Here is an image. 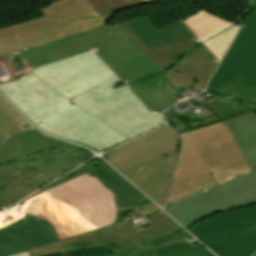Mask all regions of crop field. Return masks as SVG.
Wrapping results in <instances>:
<instances>
[{"label": "crop field", "instance_id": "obj_4", "mask_svg": "<svg viewBox=\"0 0 256 256\" xmlns=\"http://www.w3.org/2000/svg\"><path fill=\"white\" fill-rule=\"evenodd\" d=\"M105 167L55 187L49 193L83 205V219L99 228L122 221L123 212L135 210L150 202Z\"/></svg>", "mask_w": 256, "mask_h": 256}, {"label": "crop field", "instance_id": "obj_28", "mask_svg": "<svg viewBox=\"0 0 256 256\" xmlns=\"http://www.w3.org/2000/svg\"><path fill=\"white\" fill-rule=\"evenodd\" d=\"M31 254H32V253H31V251L29 250V251H26V252L17 254V255H15V256H28V255H31Z\"/></svg>", "mask_w": 256, "mask_h": 256}, {"label": "crop field", "instance_id": "obj_29", "mask_svg": "<svg viewBox=\"0 0 256 256\" xmlns=\"http://www.w3.org/2000/svg\"><path fill=\"white\" fill-rule=\"evenodd\" d=\"M155 1H159V0H148L149 3L155 2Z\"/></svg>", "mask_w": 256, "mask_h": 256}, {"label": "crop field", "instance_id": "obj_1", "mask_svg": "<svg viewBox=\"0 0 256 256\" xmlns=\"http://www.w3.org/2000/svg\"><path fill=\"white\" fill-rule=\"evenodd\" d=\"M1 60L16 76L0 91L36 126L99 151L161 125L160 111L180 98L118 24Z\"/></svg>", "mask_w": 256, "mask_h": 256}, {"label": "crop field", "instance_id": "obj_26", "mask_svg": "<svg viewBox=\"0 0 256 256\" xmlns=\"http://www.w3.org/2000/svg\"><path fill=\"white\" fill-rule=\"evenodd\" d=\"M159 210V208L157 206H155L152 202L135 210V212H137L139 215H141L142 217H145L155 211Z\"/></svg>", "mask_w": 256, "mask_h": 256}, {"label": "crop field", "instance_id": "obj_20", "mask_svg": "<svg viewBox=\"0 0 256 256\" xmlns=\"http://www.w3.org/2000/svg\"><path fill=\"white\" fill-rule=\"evenodd\" d=\"M239 27L240 26L236 24L235 26L225 30L223 33L203 42L219 62L238 32Z\"/></svg>", "mask_w": 256, "mask_h": 256}, {"label": "crop field", "instance_id": "obj_18", "mask_svg": "<svg viewBox=\"0 0 256 256\" xmlns=\"http://www.w3.org/2000/svg\"><path fill=\"white\" fill-rule=\"evenodd\" d=\"M138 256H207L193 243L185 238L179 241H170L162 246Z\"/></svg>", "mask_w": 256, "mask_h": 256}, {"label": "crop field", "instance_id": "obj_12", "mask_svg": "<svg viewBox=\"0 0 256 256\" xmlns=\"http://www.w3.org/2000/svg\"><path fill=\"white\" fill-rule=\"evenodd\" d=\"M176 149L122 172L160 207L164 201Z\"/></svg>", "mask_w": 256, "mask_h": 256}, {"label": "crop field", "instance_id": "obj_31", "mask_svg": "<svg viewBox=\"0 0 256 256\" xmlns=\"http://www.w3.org/2000/svg\"><path fill=\"white\" fill-rule=\"evenodd\" d=\"M254 93L256 94V91Z\"/></svg>", "mask_w": 256, "mask_h": 256}, {"label": "crop field", "instance_id": "obj_27", "mask_svg": "<svg viewBox=\"0 0 256 256\" xmlns=\"http://www.w3.org/2000/svg\"><path fill=\"white\" fill-rule=\"evenodd\" d=\"M242 26L256 32V12L247 21H245Z\"/></svg>", "mask_w": 256, "mask_h": 256}, {"label": "crop field", "instance_id": "obj_25", "mask_svg": "<svg viewBox=\"0 0 256 256\" xmlns=\"http://www.w3.org/2000/svg\"><path fill=\"white\" fill-rule=\"evenodd\" d=\"M187 235H189V234L186 233L185 231H183V232H180L178 234H175V235H172V236L160 239V240L150 242V244H151L152 247L155 246V245H162L163 243H165L167 241L178 240V239L184 238V236H187Z\"/></svg>", "mask_w": 256, "mask_h": 256}, {"label": "crop field", "instance_id": "obj_10", "mask_svg": "<svg viewBox=\"0 0 256 256\" xmlns=\"http://www.w3.org/2000/svg\"><path fill=\"white\" fill-rule=\"evenodd\" d=\"M237 78L256 90V33L247 28L241 29L206 89L213 91Z\"/></svg>", "mask_w": 256, "mask_h": 256}, {"label": "crop field", "instance_id": "obj_14", "mask_svg": "<svg viewBox=\"0 0 256 256\" xmlns=\"http://www.w3.org/2000/svg\"><path fill=\"white\" fill-rule=\"evenodd\" d=\"M45 244L48 242L23 219L0 231V256H12Z\"/></svg>", "mask_w": 256, "mask_h": 256}, {"label": "crop field", "instance_id": "obj_16", "mask_svg": "<svg viewBox=\"0 0 256 256\" xmlns=\"http://www.w3.org/2000/svg\"><path fill=\"white\" fill-rule=\"evenodd\" d=\"M184 22L202 42L235 25L201 10L187 17Z\"/></svg>", "mask_w": 256, "mask_h": 256}, {"label": "crop field", "instance_id": "obj_2", "mask_svg": "<svg viewBox=\"0 0 256 256\" xmlns=\"http://www.w3.org/2000/svg\"><path fill=\"white\" fill-rule=\"evenodd\" d=\"M88 155L40 134L0 97V207L80 164Z\"/></svg>", "mask_w": 256, "mask_h": 256}, {"label": "crop field", "instance_id": "obj_23", "mask_svg": "<svg viewBox=\"0 0 256 256\" xmlns=\"http://www.w3.org/2000/svg\"><path fill=\"white\" fill-rule=\"evenodd\" d=\"M21 35L24 33L16 25L0 29V43Z\"/></svg>", "mask_w": 256, "mask_h": 256}, {"label": "crop field", "instance_id": "obj_15", "mask_svg": "<svg viewBox=\"0 0 256 256\" xmlns=\"http://www.w3.org/2000/svg\"><path fill=\"white\" fill-rule=\"evenodd\" d=\"M223 124L230 130L251 171L256 169V114L235 117Z\"/></svg>", "mask_w": 256, "mask_h": 256}, {"label": "crop field", "instance_id": "obj_11", "mask_svg": "<svg viewBox=\"0 0 256 256\" xmlns=\"http://www.w3.org/2000/svg\"><path fill=\"white\" fill-rule=\"evenodd\" d=\"M178 139L168 126L137 138L105 155L120 172L177 147Z\"/></svg>", "mask_w": 256, "mask_h": 256}, {"label": "crop field", "instance_id": "obj_9", "mask_svg": "<svg viewBox=\"0 0 256 256\" xmlns=\"http://www.w3.org/2000/svg\"><path fill=\"white\" fill-rule=\"evenodd\" d=\"M114 15L96 16L79 20L43 17L17 24L26 34L0 44V57L37 44H44L94 27L104 25Z\"/></svg>", "mask_w": 256, "mask_h": 256}, {"label": "crop field", "instance_id": "obj_24", "mask_svg": "<svg viewBox=\"0 0 256 256\" xmlns=\"http://www.w3.org/2000/svg\"><path fill=\"white\" fill-rule=\"evenodd\" d=\"M123 30L128 34V36L139 46V48L143 52L149 51L146 46L140 41V39L136 36V34L132 31V29L128 26L127 23H121L119 24Z\"/></svg>", "mask_w": 256, "mask_h": 256}, {"label": "crop field", "instance_id": "obj_22", "mask_svg": "<svg viewBox=\"0 0 256 256\" xmlns=\"http://www.w3.org/2000/svg\"><path fill=\"white\" fill-rule=\"evenodd\" d=\"M31 251L34 256L66 253L60 241L32 249Z\"/></svg>", "mask_w": 256, "mask_h": 256}, {"label": "crop field", "instance_id": "obj_13", "mask_svg": "<svg viewBox=\"0 0 256 256\" xmlns=\"http://www.w3.org/2000/svg\"><path fill=\"white\" fill-rule=\"evenodd\" d=\"M127 23L150 51L195 39L182 21L159 30L154 28L147 17Z\"/></svg>", "mask_w": 256, "mask_h": 256}, {"label": "crop field", "instance_id": "obj_7", "mask_svg": "<svg viewBox=\"0 0 256 256\" xmlns=\"http://www.w3.org/2000/svg\"><path fill=\"white\" fill-rule=\"evenodd\" d=\"M254 202H256V171L170 204L164 210L188 228L199 218L213 212L227 211Z\"/></svg>", "mask_w": 256, "mask_h": 256}, {"label": "crop field", "instance_id": "obj_8", "mask_svg": "<svg viewBox=\"0 0 256 256\" xmlns=\"http://www.w3.org/2000/svg\"><path fill=\"white\" fill-rule=\"evenodd\" d=\"M198 43L195 39L145 54L158 69L162 70L172 63L174 57L192 49ZM218 64L206 48H199L163 74L176 88L194 85L197 91H202Z\"/></svg>", "mask_w": 256, "mask_h": 256}, {"label": "crop field", "instance_id": "obj_21", "mask_svg": "<svg viewBox=\"0 0 256 256\" xmlns=\"http://www.w3.org/2000/svg\"><path fill=\"white\" fill-rule=\"evenodd\" d=\"M98 15L115 13L130 7L147 4L146 0H88Z\"/></svg>", "mask_w": 256, "mask_h": 256}, {"label": "crop field", "instance_id": "obj_3", "mask_svg": "<svg viewBox=\"0 0 256 256\" xmlns=\"http://www.w3.org/2000/svg\"><path fill=\"white\" fill-rule=\"evenodd\" d=\"M179 151L166 204L250 172L222 122L178 134ZM219 146V147H217Z\"/></svg>", "mask_w": 256, "mask_h": 256}, {"label": "crop field", "instance_id": "obj_30", "mask_svg": "<svg viewBox=\"0 0 256 256\" xmlns=\"http://www.w3.org/2000/svg\"><path fill=\"white\" fill-rule=\"evenodd\" d=\"M250 256H256V252H254L253 254H251Z\"/></svg>", "mask_w": 256, "mask_h": 256}, {"label": "crop field", "instance_id": "obj_6", "mask_svg": "<svg viewBox=\"0 0 256 256\" xmlns=\"http://www.w3.org/2000/svg\"><path fill=\"white\" fill-rule=\"evenodd\" d=\"M188 230L219 256H248L256 251V205L219 215Z\"/></svg>", "mask_w": 256, "mask_h": 256}, {"label": "crop field", "instance_id": "obj_5", "mask_svg": "<svg viewBox=\"0 0 256 256\" xmlns=\"http://www.w3.org/2000/svg\"><path fill=\"white\" fill-rule=\"evenodd\" d=\"M146 220L150 226L142 230L129 223L117 227L112 225L62 240V243L67 253L108 247L112 250L109 256H135L153 249L147 242L182 230L162 211Z\"/></svg>", "mask_w": 256, "mask_h": 256}, {"label": "crop field", "instance_id": "obj_17", "mask_svg": "<svg viewBox=\"0 0 256 256\" xmlns=\"http://www.w3.org/2000/svg\"><path fill=\"white\" fill-rule=\"evenodd\" d=\"M39 11L42 16L68 19L97 15L87 0H59Z\"/></svg>", "mask_w": 256, "mask_h": 256}, {"label": "crop field", "instance_id": "obj_19", "mask_svg": "<svg viewBox=\"0 0 256 256\" xmlns=\"http://www.w3.org/2000/svg\"><path fill=\"white\" fill-rule=\"evenodd\" d=\"M198 107L201 108L205 113L197 116L200 121H191L190 126L187 122L180 121L170 109L164 111L165 120L176 131L177 134L185 130L189 131L195 128L222 121L218 117H216L210 110L206 109V107L202 104Z\"/></svg>", "mask_w": 256, "mask_h": 256}]
</instances>
